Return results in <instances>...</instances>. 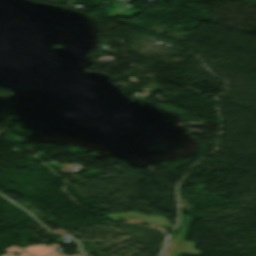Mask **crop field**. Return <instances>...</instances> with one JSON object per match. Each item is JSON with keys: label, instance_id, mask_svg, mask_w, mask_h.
Returning <instances> with one entry per match:
<instances>
[{"label": "crop field", "instance_id": "1", "mask_svg": "<svg viewBox=\"0 0 256 256\" xmlns=\"http://www.w3.org/2000/svg\"><path fill=\"white\" fill-rule=\"evenodd\" d=\"M182 223L180 224L179 230L176 235L172 236L168 243L167 248L164 250L162 256H179L182 252L189 254H201L202 252L194 249L192 246L194 242H186L183 240L189 222L193 219L192 217L181 216Z\"/></svg>", "mask_w": 256, "mask_h": 256}, {"label": "crop field", "instance_id": "2", "mask_svg": "<svg viewBox=\"0 0 256 256\" xmlns=\"http://www.w3.org/2000/svg\"><path fill=\"white\" fill-rule=\"evenodd\" d=\"M109 217H114L118 219H123L127 221L139 222L151 226L156 227H172L173 225L168 223V219L164 216H145L140 212H126V213H117V214H109Z\"/></svg>", "mask_w": 256, "mask_h": 256}]
</instances>
